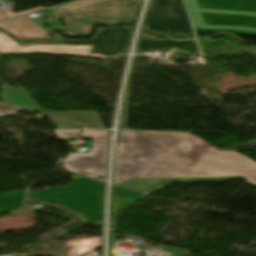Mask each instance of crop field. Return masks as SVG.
<instances>
[{"label":"crop field","mask_w":256,"mask_h":256,"mask_svg":"<svg viewBox=\"0 0 256 256\" xmlns=\"http://www.w3.org/2000/svg\"><path fill=\"white\" fill-rule=\"evenodd\" d=\"M20 110H26L31 112L35 111L0 102V116H6L10 113ZM43 114L48 116L52 120V122L73 123L85 128H104L96 111L53 112Z\"/></svg>","instance_id":"9"},{"label":"crop field","mask_w":256,"mask_h":256,"mask_svg":"<svg viewBox=\"0 0 256 256\" xmlns=\"http://www.w3.org/2000/svg\"><path fill=\"white\" fill-rule=\"evenodd\" d=\"M172 48L180 49L194 56H200L194 39L190 41L161 40L148 35H142L139 40L138 52H152Z\"/></svg>","instance_id":"11"},{"label":"crop field","mask_w":256,"mask_h":256,"mask_svg":"<svg viewBox=\"0 0 256 256\" xmlns=\"http://www.w3.org/2000/svg\"><path fill=\"white\" fill-rule=\"evenodd\" d=\"M141 0H80L54 8V15L63 14L69 36L89 34L93 19L112 25L131 21L135 5Z\"/></svg>","instance_id":"4"},{"label":"crop field","mask_w":256,"mask_h":256,"mask_svg":"<svg viewBox=\"0 0 256 256\" xmlns=\"http://www.w3.org/2000/svg\"><path fill=\"white\" fill-rule=\"evenodd\" d=\"M5 15L0 12V19H5Z\"/></svg>","instance_id":"20"},{"label":"crop field","mask_w":256,"mask_h":256,"mask_svg":"<svg viewBox=\"0 0 256 256\" xmlns=\"http://www.w3.org/2000/svg\"><path fill=\"white\" fill-rule=\"evenodd\" d=\"M80 130L56 129V135L61 139H68L72 136H78Z\"/></svg>","instance_id":"16"},{"label":"crop field","mask_w":256,"mask_h":256,"mask_svg":"<svg viewBox=\"0 0 256 256\" xmlns=\"http://www.w3.org/2000/svg\"><path fill=\"white\" fill-rule=\"evenodd\" d=\"M73 175H76V174H73ZM76 176H79V177H83V178H87V177H84V176H80V175H76ZM87 179H91V178H87ZM91 180H94V181H98V182H102V181H99V180H95V179H91ZM104 183V182H102Z\"/></svg>","instance_id":"19"},{"label":"crop field","mask_w":256,"mask_h":256,"mask_svg":"<svg viewBox=\"0 0 256 256\" xmlns=\"http://www.w3.org/2000/svg\"><path fill=\"white\" fill-rule=\"evenodd\" d=\"M44 7H39V8H35V9H31V10H27V11H24L22 13H19V14H14L13 12H11L10 10H6L5 13L7 15H9L10 17H14V16H18V15H22V14H26V13H30V12H33V11H36V10H39V9H42Z\"/></svg>","instance_id":"17"},{"label":"crop field","mask_w":256,"mask_h":256,"mask_svg":"<svg viewBox=\"0 0 256 256\" xmlns=\"http://www.w3.org/2000/svg\"><path fill=\"white\" fill-rule=\"evenodd\" d=\"M139 133L165 147L158 158L209 166L246 168L248 171L155 159L137 178L256 175V162L237 152L219 151L190 133ZM179 144L186 148H179Z\"/></svg>","instance_id":"1"},{"label":"crop field","mask_w":256,"mask_h":256,"mask_svg":"<svg viewBox=\"0 0 256 256\" xmlns=\"http://www.w3.org/2000/svg\"><path fill=\"white\" fill-rule=\"evenodd\" d=\"M195 31L256 36V0H185Z\"/></svg>","instance_id":"3"},{"label":"crop field","mask_w":256,"mask_h":256,"mask_svg":"<svg viewBox=\"0 0 256 256\" xmlns=\"http://www.w3.org/2000/svg\"><path fill=\"white\" fill-rule=\"evenodd\" d=\"M57 128H70V129H81V128H73L72 125H55Z\"/></svg>","instance_id":"18"},{"label":"crop field","mask_w":256,"mask_h":256,"mask_svg":"<svg viewBox=\"0 0 256 256\" xmlns=\"http://www.w3.org/2000/svg\"><path fill=\"white\" fill-rule=\"evenodd\" d=\"M108 132L85 130L81 137H94V149L88 154L70 153L63 161L66 170L99 177L105 175L108 149Z\"/></svg>","instance_id":"8"},{"label":"crop field","mask_w":256,"mask_h":256,"mask_svg":"<svg viewBox=\"0 0 256 256\" xmlns=\"http://www.w3.org/2000/svg\"><path fill=\"white\" fill-rule=\"evenodd\" d=\"M164 147L147 139L136 131H124L120 135L114 182L133 179Z\"/></svg>","instance_id":"6"},{"label":"crop field","mask_w":256,"mask_h":256,"mask_svg":"<svg viewBox=\"0 0 256 256\" xmlns=\"http://www.w3.org/2000/svg\"><path fill=\"white\" fill-rule=\"evenodd\" d=\"M144 28L156 34L190 36L193 34L182 0H151Z\"/></svg>","instance_id":"7"},{"label":"crop field","mask_w":256,"mask_h":256,"mask_svg":"<svg viewBox=\"0 0 256 256\" xmlns=\"http://www.w3.org/2000/svg\"><path fill=\"white\" fill-rule=\"evenodd\" d=\"M143 194L114 186V198L112 213H115L122 204H135ZM121 204H117L118 202Z\"/></svg>","instance_id":"14"},{"label":"crop field","mask_w":256,"mask_h":256,"mask_svg":"<svg viewBox=\"0 0 256 256\" xmlns=\"http://www.w3.org/2000/svg\"><path fill=\"white\" fill-rule=\"evenodd\" d=\"M0 88L3 91V94L0 95L3 102L40 110L24 88L15 90H11L8 86Z\"/></svg>","instance_id":"13"},{"label":"crop field","mask_w":256,"mask_h":256,"mask_svg":"<svg viewBox=\"0 0 256 256\" xmlns=\"http://www.w3.org/2000/svg\"><path fill=\"white\" fill-rule=\"evenodd\" d=\"M245 177L247 182L256 185V176H232V177H194V178H153V179H134L129 182L116 185L137 192H145L146 190L166 182H182V181H210V180H234L235 178Z\"/></svg>","instance_id":"10"},{"label":"crop field","mask_w":256,"mask_h":256,"mask_svg":"<svg viewBox=\"0 0 256 256\" xmlns=\"http://www.w3.org/2000/svg\"><path fill=\"white\" fill-rule=\"evenodd\" d=\"M230 169V168H229ZM243 170H245V169H243Z\"/></svg>","instance_id":"21"},{"label":"crop field","mask_w":256,"mask_h":256,"mask_svg":"<svg viewBox=\"0 0 256 256\" xmlns=\"http://www.w3.org/2000/svg\"><path fill=\"white\" fill-rule=\"evenodd\" d=\"M1 27L7 28L17 39L27 40L31 38H51L26 16L0 22Z\"/></svg>","instance_id":"12"},{"label":"crop field","mask_w":256,"mask_h":256,"mask_svg":"<svg viewBox=\"0 0 256 256\" xmlns=\"http://www.w3.org/2000/svg\"><path fill=\"white\" fill-rule=\"evenodd\" d=\"M103 184L83 178H75L65 187L44 190V192L28 191V197L65 206L75 211L84 219L101 223Z\"/></svg>","instance_id":"5"},{"label":"crop field","mask_w":256,"mask_h":256,"mask_svg":"<svg viewBox=\"0 0 256 256\" xmlns=\"http://www.w3.org/2000/svg\"><path fill=\"white\" fill-rule=\"evenodd\" d=\"M131 34V28H100L90 40L57 39L15 43L0 31V53L39 52L106 57L126 52Z\"/></svg>","instance_id":"2"},{"label":"crop field","mask_w":256,"mask_h":256,"mask_svg":"<svg viewBox=\"0 0 256 256\" xmlns=\"http://www.w3.org/2000/svg\"><path fill=\"white\" fill-rule=\"evenodd\" d=\"M26 190L0 194V212L21 208V202Z\"/></svg>","instance_id":"15"}]
</instances>
